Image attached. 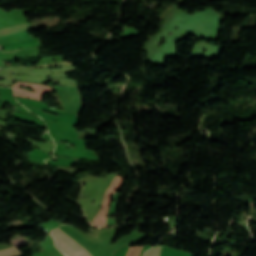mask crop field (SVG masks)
<instances>
[{"mask_svg": "<svg viewBox=\"0 0 256 256\" xmlns=\"http://www.w3.org/2000/svg\"><path fill=\"white\" fill-rule=\"evenodd\" d=\"M0 256H24L17 248L0 251Z\"/></svg>", "mask_w": 256, "mask_h": 256, "instance_id": "crop-field-4", "label": "crop field"}, {"mask_svg": "<svg viewBox=\"0 0 256 256\" xmlns=\"http://www.w3.org/2000/svg\"><path fill=\"white\" fill-rule=\"evenodd\" d=\"M143 246L140 247H130L129 251L127 253V256H139V253L141 251Z\"/></svg>", "mask_w": 256, "mask_h": 256, "instance_id": "crop-field-5", "label": "crop field"}, {"mask_svg": "<svg viewBox=\"0 0 256 256\" xmlns=\"http://www.w3.org/2000/svg\"><path fill=\"white\" fill-rule=\"evenodd\" d=\"M17 98H18V97H17ZM21 99H24V98H21ZM26 100H31V101H35V102L41 103V102H39V101L32 100V99H26ZM42 104H44V103H42ZM45 105H46V104H45Z\"/></svg>", "mask_w": 256, "mask_h": 256, "instance_id": "crop-field-7", "label": "crop field"}, {"mask_svg": "<svg viewBox=\"0 0 256 256\" xmlns=\"http://www.w3.org/2000/svg\"><path fill=\"white\" fill-rule=\"evenodd\" d=\"M56 247L66 256H90V254L59 228L52 231Z\"/></svg>", "mask_w": 256, "mask_h": 256, "instance_id": "crop-field-1", "label": "crop field"}, {"mask_svg": "<svg viewBox=\"0 0 256 256\" xmlns=\"http://www.w3.org/2000/svg\"><path fill=\"white\" fill-rule=\"evenodd\" d=\"M120 182H121V177L116 176L114 182L112 183L111 187L109 186L110 188L108 189V191L104 196L102 209L97 214L94 221H92V224L106 226V214L108 210L107 208H108L109 198L113 194V192L118 189V187L120 186Z\"/></svg>", "mask_w": 256, "mask_h": 256, "instance_id": "crop-field-2", "label": "crop field"}, {"mask_svg": "<svg viewBox=\"0 0 256 256\" xmlns=\"http://www.w3.org/2000/svg\"><path fill=\"white\" fill-rule=\"evenodd\" d=\"M19 85L30 86L35 90V92H29V91H24L22 89H19ZM13 87H14V91H16V92H22V93L38 95V96H41L42 93L45 92V91H51V88L48 87V86L38 85V84H31V83H23V82H17L16 84L13 85ZM16 92H14V94L39 98L38 96H32V95L16 93ZM39 100H41V99L39 98Z\"/></svg>", "mask_w": 256, "mask_h": 256, "instance_id": "crop-field-3", "label": "crop field"}, {"mask_svg": "<svg viewBox=\"0 0 256 256\" xmlns=\"http://www.w3.org/2000/svg\"><path fill=\"white\" fill-rule=\"evenodd\" d=\"M161 246L160 247H156L154 249H152L151 251L147 252L145 256H159L160 252H161Z\"/></svg>", "mask_w": 256, "mask_h": 256, "instance_id": "crop-field-6", "label": "crop field"}]
</instances>
